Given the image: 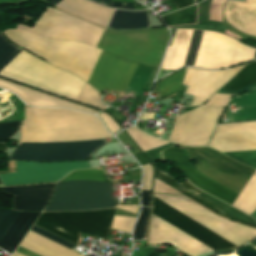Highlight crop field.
I'll list each match as a JSON object with an SVG mask.
<instances>
[{
	"mask_svg": "<svg viewBox=\"0 0 256 256\" xmlns=\"http://www.w3.org/2000/svg\"><path fill=\"white\" fill-rule=\"evenodd\" d=\"M158 170H159V169H158ZM158 170H157V167H156L155 177L161 179L162 181H164V182L168 183L169 185L173 186L174 188H176V189L180 190L181 192L187 194L188 196L192 197V198L195 199L196 201H198V202H200L201 204L205 205L206 207L210 208V209L213 210L214 212H216V213H218V214H220V215H223V216L232 218V219H234V220H236V221H239V222H241V223H243V224H247V225H251V226H255V227H256V225H253V224H250V223H248V222H245V221H242V220H239V219L230 217V216H228V215L222 213L221 210H219L218 208H216V207L210 205L209 203H207L206 201H204L203 199H201L200 197H198L197 195L200 193V191H198V190L194 189L193 187H191L186 181H185L184 183H182L181 185H183V186L189 188L190 190L196 192L197 194L194 193V192H192V191H190V190H188L187 188H185V187L179 185V184L176 183L174 180H172L171 178H169V177H168L165 173H163L161 170H159V172L162 173V174H164V175H166L167 177H165V176L159 174V173H158ZM177 184H178V185H177ZM176 185L179 186V187H181L182 189H184V190H186V191H190V192H192V193H194V194H196V195H194V194H192V193H190V192H186V191L182 190L181 188L177 187Z\"/></svg>",
	"mask_w": 256,
	"mask_h": 256,
	"instance_id": "obj_23",
	"label": "crop field"
},
{
	"mask_svg": "<svg viewBox=\"0 0 256 256\" xmlns=\"http://www.w3.org/2000/svg\"><path fill=\"white\" fill-rule=\"evenodd\" d=\"M107 115V114H106ZM105 114H99L100 118L104 121L108 129L114 133L115 131L119 130L120 128L117 126V124L112 120L111 117L106 116Z\"/></svg>",
	"mask_w": 256,
	"mask_h": 256,
	"instance_id": "obj_37",
	"label": "crop field"
},
{
	"mask_svg": "<svg viewBox=\"0 0 256 256\" xmlns=\"http://www.w3.org/2000/svg\"><path fill=\"white\" fill-rule=\"evenodd\" d=\"M112 137L90 114L65 109L26 108L20 142H60ZM105 139L61 143H18L10 159L63 161L88 159Z\"/></svg>",
	"mask_w": 256,
	"mask_h": 256,
	"instance_id": "obj_2",
	"label": "crop field"
},
{
	"mask_svg": "<svg viewBox=\"0 0 256 256\" xmlns=\"http://www.w3.org/2000/svg\"><path fill=\"white\" fill-rule=\"evenodd\" d=\"M89 1L109 7L111 0H89Z\"/></svg>",
	"mask_w": 256,
	"mask_h": 256,
	"instance_id": "obj_45",
	"label": "crop field"
},
{
	"mask_svg": "<svg viewBox=\"0 0 256 256\" xmlns=\"http://www.w3.org/2000/svg\"><path fill=\"white\" fill-rule=\"evenodd\" d=\"M193 30H177L171 47H168L162 69L182 67ZM203 31L194 30L183 66H192ZM255 48L223 36L203 32L202 40L193 66L218 69L249 61L255 54ZM254 59H256V54Z\"/></svg>",
	"mask_w": 256,
	"mask_h": 256,
	"instance_id": "obj_4",
	"label": "crop field"
},
{
	"mask_svg": "<svg viewBox=\"0 0 256 256\" xmlns=\"http://www.w3.org/2000/svg\"><path fill=\"white\" fill-rule=\"evenodd\" d=\"M15 167L16 173L0 175V180L4 185L58 181L74 169L89 168L87 161L53 163L15 161Z\"/></svg>",
	"mask_w": 256,
	"mask_h": 256,
	"instance_id": "obj_11",
	"label": "crop field"
},
{
	"mask_svg": "<svg viewBox=\"0 0 256 256\" xmlns=\"http://www.w3.org/2000/svg\"><path fill=\"white\" fill-rule=\"evenodd\" d=\"M143 170H144V179H143V184L141 189L150 190L152 166L149 165V166L143 167Z\"/></svg>",
	"mask_w": 256,
	"mask_h": 256,
	"instance_id": "obj_36",
	"label": "crop field"
},
{
	"mask_svg": "<svg viewBox=\"0 0 256 256\" xmlns=\"http://www.w3.org/2000/svg\"><path fill=\"white\" fill-rule=\"evenodd\" d=\"M118 203L112 198L111 184L66 181L58 183L54 198L44 211L105 209Z\"/></svg>",
	"mask_w": 256,
	"mask_h": 256,
	"instance_id": "obj_7",
	"label": "crop field"
},
{
	"mask_svg": "<svg viewBox=\"0 0 256 256\" xmlns=\"http://www.w3.org/2000/svg\"><path fill=\"white\" fill-rule=\"evenodd\" d=\"M208 146L221 152L256 150V122L219 126ZM224 154L256 168V151Z\"/></svg>",
	"mask_w": 256,
	"mask_h": 256,
	"instance_id": "obj_10",
	"label": "crop field"
},
{
	"mask_svg": "<svg viewBox=\"0 0 256 256\" xmlns=\"http://www.w3.org/2000/svg\"><path fill=\"white\" fill-rule=\"evenodd\" d=\"M48 2H50L52 5H56L57 3H59L61 0H47Z\"/></svg>",
	"mask_w": 256,
	"mask_h": 256,
	"instance_id": "obj_47",
	"label": "crop field"
},
{
	"mask_svg": "<svg viewBox=\"0 0 256 256\" xmlns=\"http://www.w3.org/2000/svg\"><path fill=\"white\" fill-rule=\"evenodd\" d=\"M225 0H212L209 8V20L221 22V8Z\"/></svg>",
	"mask_w": 256,
	"mask_h": 256,
	"instance_id": "obj_32",
	"label": "crop field"
},
{
	"mask_svg": "<svg viewBox=\"0 0 256 256\" xmlns=\"http://www.w3.org/2000/svg\"><path fill=\"white\" fill-rule=\"evenodd\" d=\"M23 121L0 124V142L12 136L21 126Z\"/></svg>",
	"mask_w": 256,
	"mask_h": 256,
	"instance_id": "obj_31",
	"label": "crop field"
},
{
	"mask_svg": "<svg viewBox=\"0 0 256 256\" xmlns=\"http://www.w3.org/2000/svg\"><path fill=\"white\" fill-rule=\"evenodd\" d=\"M146 213H147V208L141 207L140 217L137 220L135 227H134L133 240H143V238H144Z\"/></svg>",
	"mask_w": 256,
	"mask_h": 256,
	"instance_id": "obj_30",
	"label": "crop field"
},
{
	"mask_svg": "<svg viewBox=\"0 0 256 256\" xmlns=\"http://www.w3.org/2000/svg\"><path fill=\"white\" fill-rule=\"evenodd\" d=\"M17 252H19V253H21V254H23L25 256H38V255H36V254H34V253H32V252H30V251L20 247V246L18 247Z\"/></svg>",
	"mask_w": 256,
	"mask_h": 256,
	"instance_id": "obj_44",
	"label": "crop field"
},
{
	"mask_svg": "<svg viewBox=\"0 0 256 256\" xmlns=\"http://www.w3.org/2000/svg\"><path fill=\"white\" fill-rule=\"evenodd\" d=\"M38 215L39 213L20 212L9 230L0 240V247L13 253Z\"/></svg>",
	"mask_w": 256,
	"mask_h": 256,
	"instance_id": "obj_18",
	"label": "crop field"
},
{
	"mask_svg": "<svg viewBox=\"0 0 256 256\" xmlns=\"http://www.w3.org/2000/svg\"><path fill=\"white\" fill-rule=\"evenodd\" d=\"M115 209L42 213L35 225L77 244L79 233L107 239ZM136 218H113L111 229L131 233Z\"/></svg>",
	"mask_w": 256,
	"mask_h": 256,
	"instance_id": "obj_6",
	"label": "crop field"
},
{
	"mask_svg": "<svg viewBox=\"0 0 256 256\" xmlns=\"http://www.w3.org/2000/svg\"><path fill=\"white\" fill-rule=\"evenodd\" d=\"M256 88V62L249 63L228 83H226L218 93H237Z\"/></svg>",
	"mask_w": 256,
	"mask_h": 256,
	"instance_id": "obj_20",
	"label": "crop field"
},
{
	"mask_svg": "<svg viewBox=\"0 0 256 256\" xmlns=\"http://www.w3.org/2000/svg\"><path fill=\"white\" fill-rule=\"evenodd\" d=\"M149 191L141 190V205L147 206Z\"/></svg>",
	"mask_w": 256,
	"mask_h": 256,
	"instance_id": "obj_41",
	"label": "crop field"
},
{
	"mask_svg": "<svg viewBox=\"0 0 256 256\" xmlns=\"http://www.w3.org/2000/svg\"><path fill=\"white\" fill-rule=\"evenodd\" d=\"M20 246L40 256H81L31 231Z\"/></svg>",
	"mask_w": 256,
	"mask_h": 256,
	"instance_id": "obj_19",
	"label": "crop field"
},
{
	"mask_svg": "<svg viewBox=\"0 0 256 256\" xmlns=\"http://www.w3.org/2000/svg\"><path fill=\"white\" fill-rule=\"evenodd\" d=\"M117 208L135 213L137 212V205H130V206H118Z\"/></svg>",
	"mask_w": 256,
	"mask_h": 256,
	"instance_id": "obj_42",
	"label": "crop field"
},
{
	"mask_svg": "<svg viewBox=\"0 0 256 256\" xmlns=\"http://www.w3.org/2000/svg\"><path fill=\"white\" fill-rule=\"evenodd\" d=\"M13 256H23V255H21V254L15 252V254H14Z\"/></svg>",
	"mask_w": 256,
	"mask_h": 256,
	"instance_id": "obj_50",
	"label": "crop field"
},
{
	"mask_svg": "<svg viewBox=\"0 0 256 256\" xmlns=\"http://www.w3.org/2000/svg\"><path fill=\"white\" fill-rule=\"evenodd\" d=\"M126 131L132 137V139L137 143V145L142 149L143 152L169 143L166 141L149 137L144 133H142L140 130H138L136 127L126 129Z\"/></svg>",
	"mask_w": 256,
	"mask_h": 256,
	"instance_id": "obj_25",
	"label": "crop field"
},
{
	"mask_svg": "<svg viewBox=\"0 0 256 256\" xmlns=\"http://www.w3.org/2000/svg\"><path fill=\"white\" fill-rule=\"evenodd\" d=\"M170 146H172V144H171V145H168V146H165V147H162V148H159V149H156V150H154V151L148 152V153H146V155L149 157V159H150L152 162L160 161V154H161V152H162L164 149H166V148H168V147H170Z\"/></svg>",
	"mask_w": 256,
	"mask_h": 256,
	"instance_id": "obj_38",
	"label": "crop field"
},
{
	"mask_svg": "<svg viewBox=\"0 0 256 256\" xmlns=\"http://www.w3.org/2000/svg\"><path fill=\"white\" fill-rule=\"evenodd\" d=\"M16 29L46 38L80 41L93 46H96L103 32L50 8L46 9L33 28L18 25ZM25 31L6 30L4 34L12 42L47 62L87 80L101 50L79 42L46 39ZM136 66L137 63L103 50L87 82L100 94L103 89L125 91Z\"/></svg>",
	"mask_w": 256,
	"mask_h": 256,
	"instance_id": "obj_1",
	"label": "crop field"
},
{
	"mask_svg": "<svg viewBox=\"0 0 256 256\" xmlns=\"http://www.w3.org/2000/svg\"><path fill=\"white\" fill-rule=\"evenodd\" d=\"M225 108L202 105L175 118L169 141L176 144L206 145Z\"/></svg>",
	"mask_w": 256,
	"mask_h": 256,
	"instance_id": "obj_9",
	"label": "crop field"
},
{
	"mask_svg": "<svg viewBox=\"0 0 256 256\" xmlns=\"http://www.w3.org/2000/svg\"><path fill=\"white\" fill-rule=\"evenodd\" d=\"M0 87L11 90L15 92L24 102L30 105L35 106H61V107H68L78 110L87 111L93 114H96L97 112L92 111L90 109L77 106L68 102H65L63 100L57 99L52 96H48L45 94H41L32 90H28L22 87H19L17 85L11 84L9 82L0 80Z\"/></svg>",
	"mask_w": 256,
	"mask_h": 256,
	"instance_id": "obj_17",
	"label": "crop field"
},
{
	"mask_svg": "<svg viewBox=\"0 0 256 256\" xmlns=\"http://www.w3.org/2000/svg\"><path fill=\"white\" fill-rule=\"evenodd\" d=\"M154 113H143L140 119H152Z\"/></svg>",
	"mask_w": 256,
	"mask_h": 256,
	"instance_id": "obj_46",
	"label": "crop field"
},
{
	"mask_svg": "<svg viewBox=\"0 0 256 256\" xmlns=\"http://www.w3.org/2000/svg\"><path fill=\"white\" fill-rule=\"evenodd\" d=\"M203 1V0H202Z\"/></svg>",
	"mask_w": 256,
	"mask_h": 256,
	"instance_id": "obj_51",
	"label": "crop field"
},
{
	"mask_svg": "<svg viewBox=\"0 0 256 256\" xmlns=\"http://www.w3.org/2000/svg\"><path fill=\"white\" fill-rule=\"evenodd\" d=\"M231 97V95L214 94L206 104L227 107Z\"/></svg>",
	"mask_w": 256,
	"mask_h": 256,
	"instance_id": "obj_33",
	"label": "crop field"
},
{
	"mask_svg": "<svg viewBox=\"0 0 256 256\" xmlns=\"http://www.w3.org/2000/svg\"><path fill=\"white\" fill-rule=\"evenodd\" d=\"M231 206L252 217L256 214V173H254ZM254 217L256 218V215Z\"/></svg>",
	"mask_w": 256,
	"mask_h": 256,
	"instance_id": "obj_22",
	"label": "crop field"
},
{
	"mask_svg": "<svg viewBox=\"0 0 256 256\" xmlns=\"http://www.w3.org/2000/svg\"><path fill=\"white\" fill-rule=\"evenodd\" d=\"M243 66L221 71H204L202 69L186 68V74L182 84L188 86L185 92L186 94L195 96L191 106L204 103Z\"/></svg>",
	"mask_w": 256,
	"mask_h": 256,
	"instance_id": "obj_12",
	"label": "crop field"
},
{
	"mask_svg": "<svg viewBox=\"0 0 256 256\" xmlns=\"http://www.w3.org/2000/svg\"><path fill=\"white\" fill-rule=\"evenodd\" d=\"M185 69H180L175 73L163 79L155 88V91L161 92L160 100L166 98L171 94H175L183 80Z\"/></svg>",
	"mask_w": 256,
	"mask_h": 256,
	"instance_id": "obj_24",
	"label": "crop field"
},
{
	"mask_svg": "<svg viewBox=\"0 0 256 256\" xmlns=\"http://www.w3.org/2000/svg\"><path fill=\"white\" fill-rule=\"evenodd\" d=\"M154 196L165 201L237 246L256 237V230L221 219L186 199L184 196L160 194H154ZM156 197L153 198L152 214L215 251L237 248V246L231 244ZM154 215H152L151 220L149 244L171 243L190 256H197L214 251Z\"/></svg>",
	"mask_w": 256,
	"mask_h": 256,
	"instance_id": "obj_3",
	"label": "crop field"
},
{
	"mask_svg": "<svg viewBox=\"0 0 256 256\" xmlns=\"http://www.w3.org/2000/svg\"><path fill=\"white\" fill-rule=\"evenodd\" d=\"M162 155L165 160L171 162L172 165L197 188L213 195L214 197L230 205L238 196L235 193L225 189L224 187L197 173L191 166V164L186 161L182 149L171 147L163 151Z\"/></svg>",
	"mask_w": 256,
	"mask_h": 256,
	"instance_id": "obj_13",
	"label": "crop field"
},
{
	"mask_svg": "<svg viewBox=\"0 0 256 256\" xmlns=\"http://www.w3.org/2000/svg\"><path fill=\"white\" fill-rule=\"evenodd\" d=\"M196 5L161 17L166 26L195 23Z\"/></svg>",
	"mask_w": 256,
	"mask_h": 256,
	"instance_id": "obj_26",
	"label": "crop field"
},
{
	"mask_svg": "<svg viewBox=\"0 0 256 256\" xmlns=\"http://www.w3.org/2000/svg\"><path fill=\"white\" fill-rule=\"evenodd\" d=\"M20 50L0 34V72ZM0 75L75 100L85 83L77 76L52 67L23 50Z\"/></svg>",
	"mask_w": 256,
	"mask_h": 256,
	"instance_id": "obj_5",
	"label": "crop field"
},
{
	"mask_svg": "<svg viewBox=\"0 0 256 256\" xmlns=\"http://www.w3.org/2000/svg\"><path fill=\"white\" fill-rule=\"evenodd\" d=\"M31 231H33V232H35V233H37L39 235H42V236H44V237H46L48 239H51V240H53V241H55V242H57L59 244H62V245L66 246V247H68L70 249H72L74 247V245H72V244H70V243H68V242H66V241H64V240H62V239H60V238H58V237H56V236L46 232V231L38 228V227L33 226Z\"/></svg>",
	"mask_w": 256,
	"mask_h": 256,
	"instance_id": "obj_34",
	"label": "crop field"
},
{
	"mask_svg": "<svg viewBox=\"0 0 256 256\" xmlns=\"http://www.w3.org/2000/svg\"><path fill=\"white\" fill-rule=\"evenodd\" d=\"M224 14L227 22L234 28L256 35V0L227 1Z\"/></svg>",
	"mask_w": 256,
	"mask_h": 256,
	"instance_id": "obj_15",
	"label": "crop field"
},
{
	"mask_svg": "<svg viewBox=\"0 0 256 256\" xmlns=\"http://www.w3.org/2000/svg\"><path fill=\"white\" fill-rule=\"evenodd\" d=\"M183 147L189 158L195 159V167L201 174L238 194L254 172V169L239 164L211 148Z\"/></svg>",
	"mask_w": 256,
	"mask_h": 256,
	"instance_id": "obj_8",
	"label": "crop field"
},
{
	"mask_svg": "<svg viewBox=\"0 0 256 256\" xmlns=\"http://www.w3.org/2000/svg\"><path fill=\"white\" fill-rule=\"evenodd\" d=\"M18 214V211L0 209V239L8 230Z\"/></svg>",
	"mask_w": 256,
	"mask_h": 256,
	"instance_id": "obj_28",
	"label": "crop field"
},
{
	"mask_svg": "<svg viewBox=\"0 0 256 256\" xmlns=\"http://www.w3.org/2000/svg\"><path fill=\"white\" fill-rule=\"evenodd\" d=\"M6 150V147L2 144H0V152H4Z\"/></svg>",
	"mask_w": 256,
	"mask_h": 256,
	"instance_id": "obj_48",
	"label": "crop field"
},
{
	"mask_svg": "<svg viewBox=\"0 0 256 256\" xmlns=\"http://www.w3.org/2000/svg\"><path fill=\"white\" fill-rule=\"evenodd\" d=\"M56 7L81 16L103 26H107L113 10L103 8L84 0H62Z\"/></svg>",
	"mask_w": 256,
	"mask_h": 256,
	"instance_id": "obj_16",
	"label": "crop field"
},
{
	"mask_svg": "<svg viewBox=\"0 0 256 256\" xmlns=\"http://www.w3.org/2000/svg\"><path fill=\"white\" fill-rule=\"evenodd\" d=\"M153 192L182 195L179 192L175 191L174 189L170 188L169 186L165 185L164 183L160 182L157 179H155V181H154Z\"/></svg>",
	"mask_w": 256,
	"mask_h": 256,
	"instance_id": "obj_35",
	"label": "crop field"
},
{
	"mask_svg": "<svg viewBox=\"0 0 256 256\" xmlns=\"http://www.w3.org/2000/svg\"><path fill=\"white\" fill-rule=\"evenodd\" d=\"M110 7L114 8H121V9H127V10H133V6L130 3H116V2H111Z\"/></svg>",
	"mask_w": 256,
	"mask_h": 256,
	"instance_id": "obj_39",
	"label": "crop field"
},
{
	"mask_svg": "<svg viewBox=\"0 0 256 256\" xmlns=\"http://www.w3.org/2000/svg\"><path fill=\"white\" fill-rule=\"evenodd\" d=\"M141 129H143L144 125L143 124H137Z\"/></svg>",
	"mask_w": 256,
	"mask_h": 256,
	"instance_id": "obj_49",
	"label": "crop field"
},
{
	"mask_svg": "<svg viewBox=\"0 0 256 256\" xmlns=\"http://www.w3.org/2000/svg\"><path fill=\"white\" fill-rule=\"evenodd\" d=\"M78 101L101 109L105 108V106H103L99 102L98 93L94 91L91 87H89L87 84Z\"/></svg>",
	"mask_w": 256,
	"mask_h": 256,
	"instance_id": "obj_29",
	"label": "crop field"
},
{
	"mask_svg": "<svg viewBox=\"0 0 256 256\" xmlns=\"http://www.w3.org/2000/svg\"><path fill=\"white\" fill-rule=\"evenodd\" d=\"M173 4L178 5L179 9L192 4V0H172ZM194 4V0H193Z\"/></svg>",
	"mask_w": 256,
	"mask_h": 256,
	"instance_id": "obj_40",
	"label": "crop field"
},
{
	"mask_svg": "<svg viewBox=\"0 0 256 256\" xmlns=\"http://www.w3.org/2000/svg\"><path fill=\"white\" fill-rule=\"evenodd\" d=\"M134 156L138 159L141 165L149 164V162L145 159V157L140 152L134 154Z\"/></svg>",
	"mask_w": 256,
	"mask_h": 256,
	"instance_id": "obj_43",
	"label": "crop field"
},
{
	"mask_svg": "<svg viewBox=\"0 0 256 256\" xmlns=\"http://www.w3.org/2000/svg\"><path fill=\"white\" fill-rule=\"evenodd\" d=\"M108 27L117 30H126L150 27V25L146 11L126 12L116 10Z\"/></svg>",
	"mask_w": 256,
	"mask_h": 256,
	"instance_id": "obj_21",
	"label": "crop field"
},
{
	"mask_svg": "<svg viewBox=\"0 0 256 256\" xmlns=\"http://www.w3.org/2000/svg\"><path fill=\"white\" fill-rule=\"evenodd\" d=\"M56 184L0 188L2 193L12 195L15 210L42 211L48 203Z\"/></svg>",
	"mask_w": 256,
	"mask_h": 256,
	"instance_id": "obj_14",
	"label": "crop field"
},
{
	"mask_svg": "<svg viewBox=\"0 0 256 256\" xmlns=\"http://www.w3.org/2000/svg\"><path fill=\"white\" fill-rule=\"evenodd\" d=\"M102 170V169H101ZM99 169L94 170H82V171H74L62 181L66 180H94V181H107L105 174L103 171Z\"/></svg>",
	"mask_w": 256,
	"mask_h": 256,
	"instance_id": "obj_27",
	"label": "crop field"
}]
</instances>
